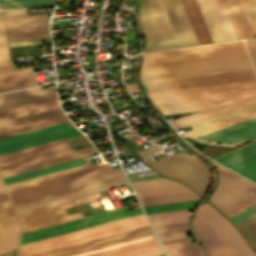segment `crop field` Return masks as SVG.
I'll use <instances>...</instances> for the list:
<instances>
[{"instance_id":"1","label":"crop field","mask_w":256,"mask_h":256,"mask_svg":"<svg viewBox=\"0 0 256 256\" xmlns=\"http://www.w3.org/2000/svg\"><path fill=\"white\" fill-rule=\"evenodd\" d=\"M219 214L207 204L194 218L193 231L207 255L256 256L237 230Z\"/></svg>"},{"instance_id":"2","label":"crop field","mask_w":256,"mask_h":256,"mask_svg":"<svg viewBox=\"0 0 256 256\" xmlns=\"http://www.w3.org/2000/svg\"><path fill=\"white\" fill-rule=\"evenodd\" d=\"M248 55L242 41L143 53L142 67Z\"/></svg>"},{"instance_id":"3","label":"crop field","mask_w":256,"mask_h":256,"mask_svg":"<svg viewBox=\"0 0 256 256\" xmlns=\"http://www.w3.org/2000/svg\"><path fill=\"white\" fill-rule=\"evenodd\" d=\"M252 68L249 57H236L141 69V81L153 82Z\"/></svg>"},{"instance_id":"4","label":"crop field","mask_w":256,"mask_h":256,"mask_svg":"<svg viewBox=\"0 0 256 256\" xmlns=\"http://www.w3.org/2000/svg\"><path fill=\"white\" fill-rule=\"evenodd\" d=\"M211 161L218 168L220 174V182L215 193L210 198L211 202L228 217L238 212L235 208L240 211L249 206V202L256 199V184L217 162L213 160ZM243 201H246L249 204Z\"/></svg>"},{"instance_id":"5","label":"crop field","mask_w":256,"mask_h":256,"mask_svg":"<svg viewBox=\"0 0 256 256\" xmlns=\"http://www.w3.org/2000/svg\"><path fill=\"white\" fill-rule=\"evenodd\" d=\"M139 22L147 40L144 51L181 47L161 0H140Z\"/></svg>"},{"instance_id":"6","label":"crop field","mask_w":256,"mask_h":256,"mask_svg":"<svg viewBox=\"0 0 256 256\" xmlns=\"http://www.w3.org/2000/svg\"><path fill=\"white\" fill-rule=\"evenodd\" d=\"M150 165L163 175L185 182L201 195L210 184L208 167L194 154L190 156L186 152L176 155L172 153Z\"/></svg>"},{"instance_id":"7","label":"crop field","mask_w":256,"mask_h":256,"mask_svg":"<svg viewBox=\"0 0 256 256\" xmlns=\"http://www.w3.org/2000/svg\"><path fill=\"white\" fill-rule=\"evenodd\" d=\"M147 220L144 216L138 215L118 221H114L111 223L83 229L80 231L52 237L49 239L21 245L20 247L28 254H34L54 248H58L61 246L89 240L92 238L116 233L119 231L147 225Z\"/></svg>"},{"instance_id":"8","label":"crop field","mask_w":256,"mask_h":256,"mask_svg":"<svg viewBox=\"0 0 256 256\" xmlns=\"http://www.w3.org/2000/svg\"><path fill=\"white\" fill-rule=\"evenodd\" d=\"M142 214L141 209L129 212L126 207L92 215L82 219L26 232L21 234L20 245L114 220Z\"/></svg>"},{"instance_id":"9","label":"crop field","mask_w":256,"mask_h":256,"mask_svg":"<svg viewBox=\"0 0 256 256\" xmlns=\"http://www.w3.org/2000/svg\"><path fill=\"white\" fill-rule=\"evenodd\" d=\"M256 94L255 90L154 102L163 115L201 110Z\"/></svg>"},{"instance_id":"10","label":"crop field","mask_w":256,"mask_h":256,"mask_svg":"<svg viewBox=\"0 0 256 256\" xmlns=\"http://www.w3.org/2000/svg\"><path fill=\"white\" fill-rule=\"evenodd\" d=\"M74 199L17 213L22 232L83 217L81 212L67 215L64 208L75 206Z\"/></svg>"},{"instance_id":"11","label":"crop field","mask_w":256,"mask_h":256,"mask_svg":"<svg viewBox=\"0 0 256 256\" xmlns=\"http://www.w3.org/2000/svg\"><path fill=\"white\" fill-rule=\"evenodd\" d=\"M120 178H122V177H121L118 169H116V170H112V171L92 175V176H89V177H85V178L65 182V183H62V184H58V185L38 189V190H35V191H31V192L11 196L10 198L12 200L13 205L15 206V205H19V204H23V203H27V202H31V201H35V200H39V199H42V198H46V197L66 193V192H69V191H73V190H77V189L97 185V184H100V183H104V182H108V181H112V180H116V179H120Z\"/></svg>"},{"instance_id":"12","label":"crop field","mask_w":256,"mask_h":256,"mask_svg":"<svg viewBox=\"0 0 256 256\" xmlns=\"http://www.w3.org/2000/svg\"><path fill=\"white\" fill-rule=\"evenodd\" d=\"M147 228L150 234L153 235L154 233L149 225H147ZM145 236H149V233L144 226L30 256H72Z\"/></svg>"},{"instance_id":"13","label":"crop field","mask_w":256,"mask_h":256,"mask_svg":"<svg viewBox=\"0 0 256 256\" xmlns=\"http://www.w3.org/2000/svg\"><path fill=\"white\" fill-rule=\"evenodd\" d=\"M214 42L238 39L221 0H196Z\"/></svg>"},{"instance_id":"14","label":"crop field","mask_w":256,"mask_h":256,"mask_svg":"<svg viewBox=\"0 0 256 256\" xmlns=\"http://www.w3.org/2000/svg\"><path fill=\"white\" fill-rule=\"evenodd\" d=\"M256 88V79L147 94L152 101Z\"/></svg>"},{"instance_id":"15","label":"crop field","mask_w":256,"mask_h":256,"mask_svg":"<svg viewBox=\"0 0 256 256\" xmlns=\"http://www.w3.org/2000/svg\"><path fill=\"white\" fill-rule=\"evenodd\" d=\"M72 151L66 140L0 156V169Z\"/></svg>"},{"instance_id":"16","label":"crop field","mask_w":256,"mask_h":256,"mask_svg":"<svg viewBox=\"0 0 256 256\" xmlns=\"http://www.w3.org/2000/svg\"><path fill=\"white\" fill-rule=\"evenodd\" d=\"M196 139L225 144H236L247 140H256V117L196 137Z\"/></svg>"},{"instance_id":"17","label":"crop field","mask_w":256,"mask_h":256,"mask_svg":"<svg viewBox=\"0 0 256 256\" xmlns=\"http://www.w3.org/2000/svg\"><path fill=\"white\" fill-rule=\"evenodd\" d=\"M213 159L256 182V144L251 143Z\"/></svg>"},{"instance_id":"18","label":"crop field","mask_w":256,"mask_h":256,"mask_svg":"<svg viewBox=\"0 0 256 256\" xmlns=\"http://www.w3.org/2000/svg\"><path fill=\"white\" fill-rule=\"evenodd\" d=\"M249 70H253V69H249ZM249 70H242V71H249ZM234 72H241V71H234ZM227 73H233V72H227ZM220 74H225V73H220ZM252 74H255L254 71L226 74V75H218V76H210V77H202V78H194V79H186V80H178V81H174V82L176 85H179V84L194 83V82L223 79V78H230V77H237V76H245V75H252ZM212 75H217V74H212ZM205 76H209V75H205ZM198 77H201V76H198ZM191 78H193V77H191ZM253 78H256V76L252 75V76L237 77V78H230V79H223V80H216V81L179 85V86H176V88L179 89V88L194 87V86L231 82V81L253 79ZM183 79H185V78H183ZM142 85L144 87L145 93L176 89L172 80L153 82V83H145Z\"/></svg>"},{"instance_id":"19","label":"crop field","mask_w":256,"mask_h":256,"mask_svg":"<svg viewBox=\"0 0 256 256\" xmlns=\"http://www.w3.org/2000/svg\"><path fill=\"white\" fill-rule=\"evenodd\" d=\"M256 105V95L227 103L221 106L210 108L184 117H180L169 122L176 128L185 127L194 123L238 111Z\"/></svg>"},{"instance_id":"20","label":"crop field","mask_w":256,"mask_h":256,"mask_svg":"<svg viewBox=\"0 0 256 256\" xmlns=\"http://www.w3.org/2000/svg\"><path fill=\"white\" fill-rule=\"evenodd\" d=\"M9 54L0 56V92L37 84L32 68L16 70Z\"/></svg>"},{"instance_id":"21","label":"crop field","mask_w":256,"mask_h":256,"mask_svg":"<svg viewBox=\"0 0 256 256\" xmlns=\"http://www.w3.org/2000/svg\"><path fill=\"white\" fill-rule=\"evenodd\" d=\"M49 14L22 15L2 17L6 34H37L48 33L47 19Z\"/></svg>"},{"instance_id":"22","label":"crop field","mask_w":256,"mask_h":256,"mask_svg":"<svg viewBox=\"0 0 256 256\" xmlns=\"http://www.w3.org/2000/svg\"><path fill=\"white\" fill-rule=\"evenodd\" d=\"M182 47L198 44L179 0H162Z\"/></svg>"},{"instance_id":"23","label":"crop field","mask_w":256,"mask_h":256,"mask_svg":"<svg viewBox=\"0 0 256 256\" xmlns=\"http://www.w3.org/2000/svg\"><path fill=\"white\" fill-rule=\"evenodd\" d=\"M107 170H111V167L109 166V164H103V165H99V166H95V167H91V168L55 176L52 178H48V179H44V180H40V181H36V182H32V183L20 185V186L8 188L7 190L11 196V195L27 192L30 190L50 186L53 184L69 181L72 179L92 175L95 173L107 171Z\"/></svg>"},{"instance_id":"24","label":"crop field","mask_w":256,"mask_h":256,"mask_svg":"<svg viewBox=\"0 0 256 256\" xmlns=\"http://www.w3.org/2000/svg\"><path fill=\"white\" fill-rule=\"evenodd\" d=\"M96 153H98L97 150L95 149L94 146H92V147L76 150L73 152L57 155L54 157L38 160L35 162L19 165L16 167L0 170V174L2 177H4V176L64 162V161H68V160H72V159H76V158H80V157H84V156H88Z\"/></svg>"},{"instance_id":"25","label":"crop field","mask_w":256,"mask_h":256,"mask_svg":"<svg viewBox=\"0 0 256 256\" xmlns=\"http://www.w3.org/2000/svg\"><path fill=\"white\" fill-rule=\"evenodd\" d=\"M127 184L128 183H127L126 179L124 178V179H121V180H117V181H113V182H109V183L89 187V188H86V189H82V190H78V191H74V192H70V193H66V194H62V195H58V196H54V197H50V198H47V199H43V200H39V201L27 203V204L15 206V209H16L17 212H19V211H23V210H27V209H31V208H35V207H39V206H43V205H47V204L67 200V199H71V198H75V197H79V196H83V195H87V194H91V193H95V192H99V191H103V190H107V189L127 185Z\"/></svg>"},{"instance_id":"26","label":"crop field","mask_w":256,"mask_h":256,"mask_svg":"<svg viewBox=\"0 0 256 256\" xmlns=\"http://www.w3.org/2000/svg\"><path fill=\"white\" fill-rule=\"evenodd\" d=\"M77 135H81V133L75 127H73V128L49 133L46 135L18 141L15 143L0 146V155L10 153L13 151H17V150H21V149H25L28 147L44 144L47 142L63 139V138L77 136Z\"/></svg>"},{"instance_id":"27","label":"crop field","mask_w":256,"mask_h":256,"mask_svg":"<svg viewBox=\"0 0 256 256\" xmlns=\"http://www.w3.org/2000/svg\"><path fill=\"white\" fill-rule=\"evenodd\" d=\"M199 44L213 42L195 0H180Z\"/></svg>"},{"instance_id":"28","label":"crop field","mask_w":256,"mask_h":256,"mask_svg":"<svg viewBox=\"0 0 256 256\" xmlns=\"http://www.w3.org/2000/svg\"><path fill=\"white\" fill-rule=\"evenodd\" d=\"M239 39L255 38L239 0H222Z\"/></svg>"},{"instance_id":"29","label":"crop field","mask_w":256,"mask_h":256,"mask_svg":"<svg viewBox=\"0 0 256 256\" xmlns=\"http://www.w3.org/2000/svg\"><path fill=\"white\" fill-rule=\"evenodd\" d=\"M85 163H89L87 157L60 163V164H56V165H52V166H48V167H44V168H40V169H36V170H32V171H28V172H24V173H20V174H16V175H12V176H8V177H4L2 179H3L4 183L6 184V183H10V182L46 174L49 172H53V171H57V170L85 164Z\"/></svg>"},{"instance_id":"30","label":"crop field","mask_w":256,"mask_h":256,"mask_svg":"<svg viewBox=\"0 0 256 256\" xmlns=\"http://www.w3.org/2000/svg\"><path fill=\"white\" fill-rule=\"evenodd\" d=\"M57 106H60V105H59L58 99L55 98V99H51V100H47V101H43V102L31 104V105L19 107V108L2 111L0 112V121L8 120L11 118L27 115L30 113L42 111V110L57 107Z\"/></svg>"},{"instance_id":"31","label":"crop field","mask_w":256,"mask_h":256,"mask_svg":"<svg viewBox=\"0 0 256 256\" xmlns=\"http://www.w3.org/2000/svg\"><path fill=\"white\" fill-rule=\"evenodd\" d=\"M60 115H64V113L61 111L60 107H58V108L42 111L39 113L19 117L16 119L0 122V131L9 129V128H13V127H17V126H21L24 124L60 116Z\"/></svg>"},{"instance_id":"32","label":"crop field","mask_w":256,"mask_h":256,"mask_svg":"<svg viewBox=\"0 0 256 256\" xmlns=\"http://www.w3.org/2000/svg\"><path fill=\"white\" fill-rule=\"evenodd\" d=\"M255 116H256V110L245 113V114H241V115H238V116H235V117H231V118H228V119H225V120H221V121H218V122H215V123H211V124H208V125H205V126H201V127L195 128V129H191V130H188V131H185V132H181V133L190 137V138H193V137H196V136L214 131L216 129H219V128H222V127H225V126H228V125H231V124H234V123H237V122L255 117Z\"/></svg>"},{"instance_id":"33","label":"crop field","mask_w":256,"mask_h":256,"mask_svg":"<svg viewBox=\"0 0 256 256\" xmlns=\"http://www.w3.org/2000/svg\"><path fill=\"white\" fill-rule=\"evenodd\" d=\"M69 127H73V125L70 123V121L52 125V126H48V127H44V128H40V129H36V130H32V131H28V132H24V133H20V134H16V135H12V136H8V137H4V138H0V145L15 142V141L30 138V137H34V136H38V135H42V134H46L49 132H53V131H57V130H61V129L69 128Z\"/></svg>"},{"instance_id":"34","label":"crop field","mask_w":256,"mask_h":256,"mask_svg":"<svg viewBox=\"0 0 256 256\" xmlns=\"http://www.w3.org/2000/svg\"><path fill=\"white\" fill-rule=\"evenodd\" d=\"M190 210L158 213L148 215L153 226L188 221Z\"/></svg>"},{"instance_id":"35","label":"crop field","mask_w":256,"mask_h":256,"mask_svg":"<svg viewBox=\"0 0 256 256\" xmlns=\"http://www.w3.org/2000/svg\"><path fill=\"white\" fill-rule=\"evenodd\" d=\"M157 245L159 244L156 238H154V239H150V240H146V241H142V242H138V243H134V244H130V245H126V246H122V247H118V248H114V249H110V250H106V251H102V252H98V253H94L86 256H117V255L129 253V252H133V251H137V250H141V249H145V248H149Z\"/></svg>"},{"instance_id":"36","label":"crop field","mask_w":256,"mask_h":256,"mask_svg":"<svg viewBox=\"0 0 256 256\" xmlns=\"http://www.w3.org/2000/svg\"><path fill=\"white\" fill-rule=\"evenodd\" d=\"M160 240L187 237L188 222L154 227Z\"/></svg>"},{"instance_id":"37","label":"crop field","mask_w":256,"mask_h":256,"mask_svg":"<svg viewBox=\"0 0 256 256\" xmlns=\"http://www.w3.org/2000/svg\"><path fill=\"white\" fill-rule=\"evenodd\" d=\"M20 226L0 228V254L17 247Z\"/></svg>"},{"instance_id":"38","label":"crop field","mask_w":256,"mask_h":256,"mask_svg":"<svg viewBox=\"0 0 256 256\" xmlns=\"http://www.w3.org/2000/svg\"><path fill=\"white\" fill-rule=\"evenodd\" d=\"M55 86L49 89L42 90L41 86L23 89L19 91L9 92L5 94H0V104L11 102L14 100L54 91Z\"/></svg>"},{"instance_id":"39","label":"crop field","mask_w":256,"mask_h":256,"mask_svg":"<svg viewBox=\"0 0 256 256\" xmlns=\"http://www.w3.org/2000/svg\"><path fill=\"white\" fill-rule=\"evenodd\" d=\"M200 198L193 192L139 199L142 206Z\"/></svg>"},{"instance_id":"40","label":"crop field","mask_w":256,"mask_h":256,"mask_svg":"<svg viewBox=\"0 0 256 256\" xmlns=\"http://www.w3.org/2000/svg\"><path fill=\"white\" fill-rule=\"evenodd\" d=\"M64 121H68L66 115L48 119V120H44V121H40V122H36V123H32V124H28L25 126H21V127L9 129V130H5V131H1L0 137H4V136H8V135H12V134H16V133L52 125V124H56V123H60V122H64Z\"/></svg>"},{"instance_id":"41","label":"crop field","mask_w":256,"mask_h":256,"mask_svg":"<svg viewBox=\"0 0 256 256\" xmlns=\"http://www.w3.org/2000/svg\"><path fill=\"white\" fill-rule=\"evenodd\" d=\"M198 200L199 199L175 202V203H169V204H162V205H155V206H148V207H144V209L146 210L147 214L173 211V210H181V209H189V208H193L195 206V204L198 202Z\"/></svg>"},{"instance_id":"42","label":"crop field","mask_w":256,"mask_h":256,"mask_svg":"<svg viewBox=\"0 0 256 256\" xmlns=\"http://www.w3.org/2000/svg\"><path fill=\"white\" fill-rule=\"evenodd\" d=\"M131 183H132L135 191L153 189V188H159V187H166V186H173V185H180L181 184L177 181L170 180V179H165V178L135 181V182H131Z\"/></svg>"},{"instance_id":"43","label":"crop field","mask_w":256,"mask_h":256,"mask_svg":"<svg viewBox=\"0 0 256 256\" xmlns=\"http://www.w3.org/2000/svg\"><path fill=\"white\" fill-rule=\"evenodd\" d=\"M191 191L184 185L136 192L139 198Z\"/></svg>"},{"instance_id":"44","label":"crop field","mask_w":256,"mask_h":256,"mask_svg":"<svg viewBox=\"0 0 256 256\" xmlns=\"http://www.w3.org/2000/svg\"><path fill=\"white\" fill-rule=\"evenodd\" d=\"M53 97H57L55 91L0 105V111L9 109V108H13V107H17V106H21V105H25V104H29V103H33V102H37V101H41V100H45V99H49V98H53Z\"/></svg>"},{"instance_id":"45","label":"crop field","mask_w":256,"mask_h":256,"mask_svg":"<svg viewBox=\"0 0 256 256\" xmlns=\"http://www.w3.org/2000/svg\"><path fill=\"white\" fill-rule=\"evenodd\" d=\"M237 226L256 249V215Z\"/></svg>"},{"instance_id":"46","label":"crop field","mask_w":256,"mask_h":256,"mask_svg":"<svg viewBox=\"0 0 256 256\" xmlns=\"http://www.w3.org/2000/svg\"><path fill=\"white\" fill-rule=\"evenodd\" d=\"M165 250H178L198 247L197 244H190L188 238L161 241Z\"/></svg>"},{"instance_id":"47","label":"crop field","mask_w":256,"mask_h":256,"mask_svg":"<svg viewBox=\"0 0 256 256\" xmlns=\"http://www.w3.org/2000/svg\"><path fill=\"white\" fill-rule=\"evenodd\" d=\"M248 20L256 34V0H240Z\"/></svg>"},{"instance_id":"48","label":"crop field","mask_w":256,"mask_h":256,"mask_svg":"<svg viewBox=\"0 0 256 256\" xmlns=\"http://www.w3.org/2000/svg\"><path fill=\"white\" fill-rule=\"evenodd\" d=\"M2 192H6V191H1ZM12 215H16L12 205L8 199V196L6 193H2L0 194V217L3 216H12ZM12 217H16V216H12ZM12 217H4V218H12ZM3 219V218H0Z\"/></svg>"},{"instance_id":"49","label":"crop field","mask_w":256,"mask_h":256,"mask_svg":"<svg viewBox=\"0 0 256 256\" xmlns=\"http://www.w3.org/2000/svg\"><path fill=\"white\" fill-rule=\"evenodd\" d=\"M256 214V203L229 217L236 225Z\"/></svg>"},{"instance_id":"50","label":"crop field","mask_w":256,"mask_h":256,"mask_svg":"<svg viewBox=\"0 0 256 256\" xmlns=\"http://www.w3.org/2000/svg\"><path fill=\"white\" fill-rule=\"evenodd\" d=\"M91 166H92L91 164H88V165H84V166H80V167H76V168H72V169H68V170H64V171H60V172H56V173H52V174H48V175H43V176H39V177H35V178H31V179H27V180H23V181H19V182L7 184L5 186H6V188H8V187H12V186H16V185H20V184H24V183H28V182H32V181H36V180H40V179H44V178H48V177H51V176H55V175H59V174H63V173H67V172H71V171L91 167Z\"/></svg>"},{"instance_id":"51","label":"crop field","mask_w":256,"mask_h":256,"mask_svg":"<svg viewBox=\"0 0 256 256\" xmlns=\"http://www.w3.org/2000/svg\"><path fill=\"white\" fill-rule=\"evenodd\" d=\"M9 47L49 44V38L8 41Z\"/></svg>"},{"instance_id":"52","label":"crop field","mask_w":256,"mask_h":256,"mask_svg":"<svg viewBox=\"0 0 256 256\" xmlns=\"http://www.w3.org/2000/svg\"><path fill=\"white\" fill-rule=\"evenodd\" d=\"M55 3H56V0L43 1V2L7 3V4H0V7L10 8V7L45 6V5H55Z\"/></svg>"},{"instance_id":"53","label":"crop field","mask_w":256,"mask_h":256,"mask_svg":"<svg viewBox=\"0 0 256 256\" xmlns=\"http://www.w3.org/2000/svg\"><path fill=\"white\" fill-rule=\"evenodd\" d=\"M169 256H204L199 248L167 252Z\"/></svg>"},{"instance_id":"54","label":"crop field","mask_w":256,"mask_h":256,"mask_svg":"<svg viewBox=\"0 0 256 256\" xmlns=\"http://www.w3.org/2000/svg\"><path fill=\"white\" fill-rule=\"evenodd\" d=\"M162 253L163 252L160 246H158V247H154V248H150V249H146V250H142V251H138V252L122 255V256H154Z\"/></svg>"},{"instance_id":"55","label":"crop field","mask_w":256,"mask_h":256,"mask_svg":"<svg viewBox=\"0 0 256 256\" xmlns=\"http://www.w3.org/2000/svg\"><path fill=\"white\" fill-rule=\"evenodd\" d=\"M255 109H256V106L248 108V109H244V110H241V111H238V112H234V113H231V114H228V115H225V116H221V117H218V118H215V119H211V120H208V121H205V122H201V123H198V124H195V125H191V127L192 128L198 127V126H201V125H204V124H208V123H211V122H214V121H218V120H221V119H224V118L235 116V115L245 113V112L255 110Z\"/></svg>"},{"instance_id":"56","label":"crop field","mask_w":256,"mask_h":256,"mask_svg":"<svg viewBox=\"0 0 256 256\" xmlns=\"http://www.w3.org/2000/svg\"><path fill=\"white\" fill-rule=\"evenodd\" d=\"M2 16L28 14L25 9L2 10Z\"/></svg>"},{"instance_id":"57","label":"crop field","mask_w":256,"mask_h":256,"mask_svg":"<svg viewBox=\"0 0 256 256\" xmlns=\"http://www.w3.org/2000/svg\"><path fill=\"white\" fill-rule=\"evenodd\" d=\"M17 219L16 218H12V219L0 220V227L19 225Z\"/></svg>"},{"instance_id":"58","label":"crop field","mask_w":256,"mask_h":256,"mask_svg":"<svg viewBox=\"0 0 256 256\" xmlns=\"http://www.w3.org/2000/svg\"><path fill=\"white\" fill-rule=\"evenodd\" d=\"M160 149H162V148L153 146V147H151V148H149V149H147V150H145V151L139 153V155L144 158V157H146V156H148V155H150V154H152V153H154V152H156V151H158V150H160Z\"/></svg>"},{"instance_id":"59","label":"crop field","mask_w":256,"mask_h":256,"mask_svg":"<svg viewBox=\"0 0 256 256\" xmlns=\"http://www.w3.org/2000/svg\"><path fill=\"white\" fill-rule=\"evenodd\" d=\"M254 64H256V47H247ZM255 69H256V65Z\"/></svg>"},{"instance_id":"60","label":"crop field","mask_w":256,"mask_h":256,"mask_svg":"<svg viewBox=\"0 0 256 256\" xmlns=\"http://www.w3.org/2000/svg\"><path fill=\"white\" fill-rule=\"evenodd\" d=\"M152 237H153V236H151V237H147V238H143V239H139V240H135V241H131V242H127V243H123V244H119V245L112 246V247H108V248H104V249H100V250H96V251H92V252H88V253H84V254H80V255H77V256H82V255H85V254H89V253H93V252H97V251H101V250H105V249H109V248L117 247V246H120V245H124V244H128V243H132V242H136V241H140V240H144V239H148V238H152Z\"/></svg>"},{"instance_id":"61","label":"crop field","mask_w":256,"mask_h":256,"mask_svg":"<svg viewBox=\"0 0 256 256\" xmlns=\"http://www.w3.org/2000/svg\"><path fill=\"white\" fill-rule=\"evenodd\" d=\"M6 42L5 40V35H4V29H3V24L0 22V43Z\"/></svg>"},{"instance_id":"62","label":"crop field","mask_w":256,"mask_h":256,"mask_svg":"<svg viewBox=\"0 0 256 256\" xmlns=\"http://www.w3.org/2000/svg\"><path fill=\"white\" fill-rule=\"evenodd\" d=\"M7 53H9L7 44L6 43L0 44V55L7 54Z\"/></svg>"},{"instance_id":"63","label":"crop field","mask_w":256,"mask_h":256,"mask_svg":"<svg viewBox=\"0 0 256 256\" xmlns=\"http://www.w3.org/2000/svg\"><path fill=\"white\" fill-rule=\"evenodd\" d=\"M17 250H18V248H17V249H14V250H12V251H10V252H8V253H5V254H3V255H1V256H15L16 253H17Z\"/></svg>"},{"instance_id":"64","label":"crop field","mask_w":256,"mask_h":256,"mask_svg":"<svg viewBox=\"0 0 256 256\" xmlns=\"http://www.w3.org/2000/svg\"><path fill=\"white\" fill-rule=\"evenodd\" d=\"M20 1H35V0H0V3H6V2H20Z\"/></svg>"},{"instance_id":"65","label":"crop field","mask_w":256,"mask_h":256,"mask_svg":"<svg viewBox=\"0 0 256 256\" xmlns=\"http://www.w3.org/2000/svg\"><path fill=\"white\" fill-rule=\"evenodd\" d=\"M245 43L247 46H256V40H246Z\"/></svg>"},{"instance_id":"66","label":"crop field","mask_w":256,"mask_h":256,"mask_svg":"<svg viewBox=\"0 0 256 256\" xmlns=\"http://www.w3.org/2000/svg\"><path fill=\"white\" fill-rule=\"evenodd\" d=\"M17 256H27L25 253H23L20 249L18 250Z\"/></svg>"},{"instance_id":"67","label":"crop field","mask_w":256,"mask_h":256,"mask_svg":"<svg viewBox=\"0 0 256 256\" xmlns=\"http://www.w3.org/2000/svg\"><path fill=\"white\" fill-rule=\"evenodd\" d=\"M1 190H5V189H4V186H3V184H2V181L0 180V191H1Z\"/></svg>"},{"instance_id":"68","label":"crop field","mask_w":256,"mask_h":256,"mask_svg":"<svg viewBox=\"0 0 256 256\" xmlns=\"http://www.w3.org/2000/svg\"><path fill=\"white\" fill-rule=\"evenodd\" d=\"M158 256H164V254H162V255H158Z\"/></svg>"},{"instance_id":"69","label":"crop field","mask_w":256,"mask_h":256,"mask_svg":"<svg viewBox=\"0 0 256 256\" xmlns=\"http://www.w3.org/2000/svg\"><path fill=\"white\" fill-rule=\"evenodd\" d=\"M0 21H2V20H1V16H0Z\"/></svg>"}]
</instances>
